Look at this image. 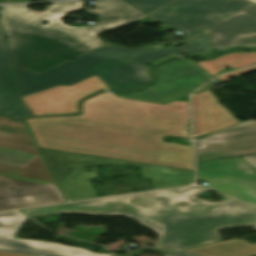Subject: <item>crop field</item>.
I'll use <instances>...</instances> for the list:
<instances>
[{
    "mask_svg": "<svg viewBox=\"0 0 256 256\" xmlns=\"http://www.w3.org/2000/svg\"><path fill=\"white\" fill-rule=\"evenodd\" d=\"M247 4L237 0H177L152 16L185 31L189 37Z\"/></svg>",
    "mask_w": 256,
    "mask_h": 256,
    "instance_id": "d8731c3e",
    "label": "crop field"
},
{
    "mask_svg": "<svg viewBox=\"0 0 256 256\" xmlns=\"http://www.w3.org/2000/svg\"><path fill=\"white\" fill-rule=\"evenodd\" d=\"M13 0H0V3H7V2H11Z\"/></svg>",
    "mask_w": 256,
    "mask_h": 256,
    "instance_id": "214f88e0",
    "label": "crop field"
},
{
    "mask_svg": "<svg viewBox=\"0 0 256 256\" xmlns=\"http://www.w3.org/2000/svg\"><path fill=\"white\" fill-rule=\"evenodd\" d=\"M229 16L202 30L214 49L256 47V4L251 3Z\"/></svg>",
    "mask_w": 256,
    "mask_h": 256,
    "instance_id": "d1516ede",
    "label": "crop field"
},
{
    "mask_svg": "<svg viewBox=\"0 0 256 256\" xmlns=\"http://www.w3.org/2000/svg\"><path fill=\"white\" fill-rule=\"evenodd\" d=\"M198 179L207 188L256 206V171L240 157L198 164Z\"/></svg>",
    "mask_w": 256,
    "mask_h": 256,
    "instance_id": "5a996713",
    "label": "crop field"
},
{
    "mask_svg": "<svg viewBox=\"0 0 256 256\" xmlns=\"http://www.w3.org/2000/svg\"><path fill=\"white\" fill-rule=\"evenodd\" d=\"M242 158L246 160L253 168L256 169V155L244 156Z\"/></svg>",
    "mask_w": 256,
    "mask_h": 256,
    "instance_id": "4a817a6b",
    "label": "crop field"
},
{
    "mask_svg": "<svg viewBox=\"0 0 256 256\" xmlns=\"http://www.w3.org/2000/svg\"><path fill=\"white\" fill-rule=\"evenodd\" d=\"M19 1H29V0H15L13 2H19Z\"/></svg>",
    "mask_w": 256,
    "mask_h": 256,
    "instance_id": "dafd665d",
    "label": "crop field"
},
{
    "mask_svg": "<svg viewBox=\"0 0 256 256\" xmlns=\"http://www.w3.org/2000/svg\"><path fill=\"white\" fill-rule=\"evenodd\" d=\"M144 13H149L172 0H124Z\"/></svg>",
    "mask_w": 256,
    "mask_h": 256,
    "instance_id": "d9b57169",
    "label": "crop field"
},
{
    "mask_svg": "<svg viewBox=\"0 0 256 256\" xmlns=\"http://www.w3.org/2000/svg\"><path fill=\"white\" fill-rule=\"evenodd\" d=\"M157 83L126 98L165 104L187 97L199 85L212 78L193 61L182 58L164 62L154 68Z\"/></svg>",
    "mask_w": 256,
    "mask_h": 256,
    "instance_id": "e52e79f7",
    "label": "crop field"
},
{
    "mask_svg": "<svg viewBox=\"0 0 256 256\" xmlns=\"http://www.w3.org/2000/svg\"><path fill=\"white\" fill-rule=\"evenodd\" d=\"M244 1H250V2L256 3V0H244Z\"/></svg>",
    "mask_w": 256,
    "mask_h": 256,
    "instance_id": "92a150f3",
    "label": "crop field"
},
{
    "mask_svg": "<svg viewBox=\"0 0 256 256\" xmlns=\"http://www.w3.org/2000/svg\"><path fill=\"white\" fill-rule=\"evenodd\" d=\"M41 151L67 201L98 197L89 181V178H96V172L84 173L72 179V175L78 172L74 164L137 166L141 168L142 177L152 181L154 189L183 186L192 183L194 179V173L190 171L43 149Z\"/></svg>",
    "mask_w": 256,
    "mask_h": 256,
    "instance_id": "dd49c442",
    "label": "crop field"
},
{
    "mask_svg": "<svg viewBox=\"0 0 256 256\" xmlns=\"http://www.w3.org/2000/svg\"><path fill=\"white\" fill-rule=\"evenodd\" d=\"M254 230H256V226L254 227Z\"/></svg>",
    "mask_w": 256,
    "mask_h": 256,
    "instance_id": "00972430",
    "label": "crop field"
},
{
    "mask_svg": "<svg viewBox=\"0 0 256 256\" xmlns=\"http://www.w3.org/2000/svg\"><path fill=\"white\" fill-rule=\"evenodd\" d=\"M205 190L186 187L20 212L29 216L58 212L127 216L160 233L154 247L174 251L220 242L219 229L256 224L255 208L228 198L220 202L197 199Z\"/></svg>",
    "mask_w": 256,
    "mask_h": 256,
    "instance_id": "ac0d7876",
    "label": "crop field"
},
{
    "mask_svg": "<svg viewBox=\"0 0 256 256\" xmlns=\"http://www.w3.org/2000/svg\"><path fill=\"white\" fill-rule=\"evenodd\" d=\"M194 137L210 134L239 123L233 114L219 105L209 90L192 96Z\"/></svg>",
    "mask_w": 256,
    "mask_h": 256,
    "instance_id": "22f410ed",
    "label": "crop field"
},
{
    "mask_svg": "<svg viewBox=\"0 0 256 256\" xmlns=\"http://www.w3.org/2000/svg\"><path fill=\"white\" fill-rule=\"evenodd\" d=\"M0 66H10L9 55L4 41V34L0 24Z\"/></svg>",
    "mask_w": 256,
    "mask_h": 256,
    "instance_id": "733c2abd",
    "label": "crop field"
},
{
    "mask_svg": "<svg viewBox=\"0 0 256 256\" xmlns=\"http://www.w3.org/2000/svg\"><path fill=\"white\" fill-rule=\"evenodd\" d=\"M181 43L185 45L175 50L167 49L159 44L138 49H128L107 44L76 58L74 61L63 63L38 76L13 69L22 97L55 85H73L95 74L91 68L98 65L101 61L154 63L183 52L206 55L213 49L202 32L187 38Z\"/></svg>",
    "mask_w": 256,
    "mask_h": 256,
    "instance_id": "f4fd0767",
    "label": "crop field"
},
{
    "mask_svg": "<svg viewBox=\"0 0 256 256\" xmlns=\"http://www.w3.org/2000/svg\"><path fill=\"white\" fill-rule=\"evenodd\" d=\"M85 4L53 3L44 12L27 9V5L1 7L12 65L39 74L102 45L97 36L104 30L147 17L123 0H96V9H86V13L98 17L97 25L70 27L60 20L68 13L83 10ZM41 21L49 23L44 25Z\"/></svg>",
    "mask_w": 256,
    "mask_h": 256,
    "instance_id": "34b2d1b8",
    "label": "crop field"
},
{
    "mask_svg": "<svg viewBox=\"0 0 256 256\" xmlns=\"http://www.w3.org/2000/svg\"><path fill=\"white\" fill-rule=\"evenodd\" d=\"M64 202L24 121L0 116V211Z\"/></svg>",
    "mask_w": 256,
    "mask_h": 256,
    "instance_id": "412701ff",
    "label": "crop field"
},
{
    "mask_svg": "<svg viewBox=\"0 0 256 256\" xmlns=\"http://www.w3.org/2000/svg\"><path fill=\"white\" fill-rule=\"evenodd\" d=\"M197 161L256 152V122H246L195 142Z\"/></svg>",
    "mask_w": 256,
    "mask_h": 256,
    "instance_id": "28ad6ade",
    "label": "crop field"
},
{
    "mask_svg": "<svg viewBox=\"0 0 256 256\" xmlns=\"http://www.w3.org/2000/svg\"><path fill=\"white\" fill-rule=\"evenodd\" d=\"M0 111L13 118L31 116L20 98L12 67H0Z\"/></svg>",
    "mask_w": 256,
    "mask_h": 256,
    "instance_id": "5142ce71",
    "label": "crop field"
},
{
    "mask_svg": "<svg viewBox=\"0 0 256 256\" xmlns=\"http://www.w3.org/2000/svg\"><path fill=\"white\" fill-rule=\"evenodd\" d=\"M188 102L165 105L104 92L83 102V114L27 119L39 147L194 170L192 146L165 143L188 137Z\"/></svg>",
    "mask_w": 256,
    "mask_h": 256,
    "instance_id": "8a807250",
    "label": "crop field"
},
{
    "mask_svg": "<svg viewBox=\"0 0 256 256\" xmlns=\"http://www.w3.org/2000/svg\"><path fill=\"white\" fill-rule=\"evenodd\" d=\"M98 66V76L113 90H135L152 82L149 65L101 62Z\"/></svg>",
    "mask_w": 256,
    "mask_h": 256,
    "instance_id": "cbeb9de0",
    "label": "crop field"
},
{
    "mask_svg": "<svg viewBox=\"0 0 256 256\" xmlns=\"http://www.w3.org/2000/svg\"><path fill=\"white\" fill-rule=\"evenodd\" d=\"M163 256H197V255L179 251V252H175V253H171V254H167V255H163Z\"/></svg>",
    "mask_w": 256,
    "mask_h": 256,
    "instance_id": "bc2a9ffb",
    "label": "crop field"
},
{
    "mask_svg": "<svg viewBox=\"0 0 256 256\" xmlns=\"http://www.w3.org/2000/svg\"><path fill=\"white\" fill-rule=\"evenodd\" d=\"M26 219L16 211L0 213V256H110L52 242L12 238Z\"/></svg>",
    "mask_w": 256,
    "mask_h": 256,
    "instance_id": "3316defc",
    "label": "crop field"
}]
</instances>
